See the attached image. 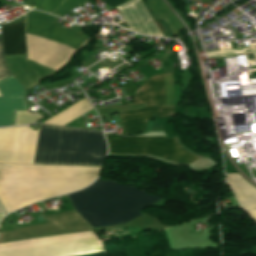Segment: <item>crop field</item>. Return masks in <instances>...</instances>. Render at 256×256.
Segmentation results:
<instances>
[{
    "mask_svg": "<svg viewBox=\"0 0 256 256\" xmlns=\"http://www.w3.org/2000/svg\"><path fill=\"white\" fill-rule=\"evenodd\" d=\"M0 129V163L101 167L103 134L92 130L39 125ZM0 164V201L14 211L38 200L90 184L100 168ZM7 212V213H8Z\"/></svg>",
    "mask_w": 256,
    "mask_h": 256,
    "instance_id": "crop-field-1",
    "label": "crop field"
},
{
    "mask_svg": "<svg viewBox=\"0 0 256 256\" xmlns=\"http://www.w3.org/2000/svg\"><path fill=\"white\" fill-rule=\"evenodd\" d=\"M67 196L76 212L92 227L124 224L142 215L137 211L162 199L99 179L88 188Z\"/></svg>",
    "mask_w": 256,
    "mask_h": 256,
    "instance_id": "crop-field-2",
    "label": "crop field"
},
{
    "mask_svg": "<svg viewBox=\"0 0 256 256\" xmlns=\"http://www.w3.org/2000/svg\"><path fill=\"white\" fill-rule=\"evenodd\" d=\"M109 145L108 153L149 154L179 164L194 165L205 158L181 146L177 137H120L105 135Z\"/></svg>",
    "mask_w": 256,
    "mask_h": 256,
    "instance_id": "crop-field-3",
    "label": "crop field"
},
{
    "mask_svg": "<svg viewBox=\"0 0 256 256\" xmlns=\"http://www.w3.org/2000/svg\"><path fill=\"white\" fill-rule=\"evenodd\" d=\"M133 102L147 103L146 107H173L171 73L152 76L135 93Z\"/></svg>",
    "mask_w": 256,
    "mask_h": 256,
    "instance_id": "crop-field-4",
    "label": "crop field"
},
{
    "mask_svg": "<svg viewBox=\"0 0 256 256\" xmlns=\"http://www.w3.org/2000/svg\"><path fill=\"white\" fill-rule=\"evenodd\" d=\"M23 91L12 76L0 81V126L14 125L15 110H27Z\"/></svg>",
    "mask_w": 256,
    "mask_h": 256,
    "instance_id": "crop-field-5",
    "label": "crop field"
},
{
    "mask_svg": "<svg viewBox=\"0 0 256 256\" xmlns=\"http://www.w3.org/2000/svg\"><path fill=\"white\" fill-rule=\"evenodd\" d=\"M26 32L40 35L55 40L59 43L69 45L75 50L84 45L89 40V38L78 32L45 22L33 20L27 17Z\"/></svg>",
    "mask_w": 256,
    "mask_h": 256,
    "instance_id": "crop-field-6",
    "label": "crop field"
},
{
    "mask_svg": "<svg viewBox=\"0 0 256 256\" xmlns=\"http://www.w3.org/2000/svg\"><path fill=\"white\" fill-rule=\"evenodd\" d=\"M117 8L129 29L143 34L161 36L140 0H131Z\"/></svg>",
    "mask_w": 256,
    "mask_h": 256,
    "instance_id": "crop-field-7",
    "label": "crop field"
},
{
    "mask_svg": "<svg viewBox=\"0 0 256 256\" xmlns=\"http://www.w3.org/2000/svg\"><path fill=\"white\" fill-rule=\"evenodd\" d=\"M174 108H145L120 114L124 134H137L143 131L147 120L174 116Z\"/></svg>",
    "mask_w": 256,
    "mask_h": 256,
    "instance_id": "crop-field-8",
    "label": "crop field"
},
{
    "mask_svg": "<svg viewBox=\"0 0 256 256\" xmlns=\"http://www.w3.org/2000/svg\"><path fill=\"white\" fill-rule=\"evenodd\" d=\"M226 184L238 205L256 222V188L239 174H226Z\"/></svg>",
    "mask_w": 256,
    "mask_h": 256,
    "instance_id": "crop-field-9",
    "label": "crop field"
},
{
    "mask_svg": "<svg viewBox=\"0 0 256 256\" xmlns=\"http://www.w3.org/2000/svg\"><path fill=\"white\" fill-rule=\"evenodd\" d=\"M4 55L26 54L24 44V21L1 27Z\"/></svg>",
    "mask_w": 256,
    "mask_h": 256,
    "instance_id": "crop-field-10",
    "label": "crop field"
},
{
    "mask_svg": "<svg viewBox=\"0 0 256 256\" xmlns=\"http://www.w3.org/2000/svg\"><path fill=\"white\" fill-rule=\"evenodd\" d=\"M93 109L89 103L84 99L77 104L71 106L70 108L64 110L63 112L59 113L58 115L52 117L51 119L47 120L44 123H51L63 126L66 123L70 122L74 118L88 112L89 110Z\"/></svg>",
    "mask_w": 256,
    "mask_h": 256,
    "instance_id": "crop-field-11",
    "label": "crop field"
},
{
    "mask_svg": "<svg viewBox=\"0 0 256 256\" xmlns=\"http://www.w3.org/2000/svg\"><path fill=\"white\" fill-rule=\"evenodd\" d=\"M41 119L37 113L31 116L27 112L16 111L15 125L36 123Z\"/></svg>",
    "mask_w": 256,
    "mask_h": 256,
    "instance_id": "crop-field-12",
    "label": "crop field"
},
{
    "mask_svg": "<svg viewBox=\"0 0 256 256\" xmlns=\"http://www.w3.org/2000/svg\"><path fill=\"white\" fill-rule=\"evenodd\" d=\"M63 0H42L39 10L50 13L54 11Z\"/></svg>",
    "mask_w": 256,
    "mask_h": 256,
    "instance_id": "crop-field-13",
    "label": "crop field"
},
{
    "mask_svg": "<svg viewBox=\"0 0 256 256\" xmlns=\"http://www.w3.org/2000/svg\"><path fill=\"white\" fill-rule=\"evenodd\" d=\"M11 75L8 71L4 58H3V51H2V44H1V36H0V80Z\"/></svg>",
    "mask_w": 256,
    "mask_h": 256,
    "instance_id": "crop-field-14",
    "label": "crop field"
},
{
    "mask_svg": "<svg viewBox=\"0 0 256 256\" xmlns=\"http://www.w3.org/2000/svg\"><path fill=\"white\" fill-rule=\"evenodd\" d=\"M4 215H6V214H0V220H1V218H2Z\"/></svg>",
    "mask_w": 256,
    "mask_h": 256,
    "instance_id": "crop-field-15",
    "label": "crop field"
}]
</instances>
